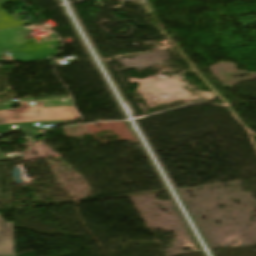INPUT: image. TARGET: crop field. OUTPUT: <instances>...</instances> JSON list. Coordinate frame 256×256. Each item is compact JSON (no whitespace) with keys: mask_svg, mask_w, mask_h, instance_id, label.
Returning <instances> with one entry per match:
<instances>
[{"mask_svg":"<svg viewBox=\"0 0 256 256\" xmlns=\"http://www.w3.org/2000/svg\"><path fill=\"white\" fill-rule=\"evenodd\" d=\"M79 119L73 107L41 109L29 108L27 103L13 111L0 112V124Z\"/></svg>","mask_w":256,"mask_h":256,"instance_id":"1","label":"crop field"},{"mask_svg":"<svg viewBox=\"0 0 256 256\" xmlns=\"http://www.w3.org/2000/svg\"><path fill=\"white\" fill-rule=\"evenodd\" d=\"M0 256H15L13 223L0 217Z\"/></svg>","mask_w":256,"mask_h":256,"instance_id":"2","label":"crop field"},{"mask_svg":"<svg viewBox=\"0 0 256 256\" xmlns=\"http://www.w3.org/2000/svg\"><path fill=\"white\" fill-rule=\"evenodd\" d=\"M14 129H18L24 132L25 136L36 135L32 123H25V124H10V125H0V133L2 132H9Z\"/></svg>","mask_w":256,"mask_h":256,"instance_id":"3","label":"crop field"},{"mask_svg":"<svg viewBox=\"0 0 256 256\" xmlns=\"http://www.w3.org/2000/svg\"><path fill=\"white\" fill-rule=\"evenodd\" d=\"M1 154L2 152L0 151V160H4L5 158Z\"/></svg>","mask_w":256,"mask_h":256,"instance_id":"4","label":"crop field"}]
</instances>
